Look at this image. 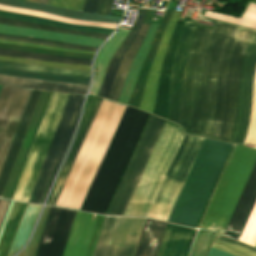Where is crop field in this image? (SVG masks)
I'll use <instances>...</instances> for the list:
<instances>
[{"label": "crop field", "instance_id": "obj_18", "mask_svg": "<svg viewBox=\"0 0 256 256\" xmlns=\"http://www.w3.org/2000/svg\"><path fill=\"white\" fill-rule=\"evenodd\" d=\"M40 92L41 91L32 90L29 96L28 102L26 104L25 110L23 112L22 118L20 120L19 126L17 128L16 134L14 136L13 142L11 144L10 150L8 152L7 158L0 174V197L2 196V193L4 191L5 185L7 183L8 177L10 175L11 169L13 167L14 161L16 159L17 153L19 151L20 145L22 143Z\"/></svg>", "mask_w": 256, "mask_h": 256}, {"label": "crop field", "instance_id": "obj_12", "mask_svg": "<svg viewBox=\"0 0 256 256\" xmlns=\"http://www.w3.org/2000/svg\"><path fill=\"white\" fill-rule=\"evenodd\" d=\"M119 218L114 216L105 217L93 256H133L139 235L128 234V232L140 234L145 218L121 217L120 221ZM112 240L126 241V243L112 242Z\"/></svg>", "mask_w": 256, "mask_h": 256}, {"label": "crop field", "instance_id": "obj_20", "mask_svg": "<svg viewBox=\"0 0 256 256\" xmlns=\"http://www.w3.org/2000/svg\"><path fill=\"white\" fill-rule=\"evenodd\" d=\"M172 12H173L172 10H166V12L160 22V26L157 30L154 40L150 46V49L146 55V58L142 64V66H141L135 87L133 89L130 101L128 103L129 105H132L137 108L139 107L143 89H144V85H145V81L148 77L149 70H150L152 61L154 59L155 53L157 51L158 45L160 43L163 31L165 29V26L171 16Z\"/></svg>", "mask_w": 256, "mask_h": 256}, {"label": "crop field", "instance_id": "obj_7", "mask_svg": "<svg viewBox=\"0 0 256 256\" xmlns=\"http://www.w3.org/2000/svg\"><path fill=\"white\" fill-rule=\"evenodd\" d=\"M184 133L166 121L130 201L152 202ZM130 202L124 215L146 216L152 203Z\"/></svg>", "mask_w": 256, "mask_h": 256}, {"label": "crop field", "instance_id": "obj_45", "mask_svg": "<svg viewBox=\"0 0 256 256\" xmlns=\"http://www.w3.org/2000/svg\"><path fill=\"white\" fill-rule=\"evenodd\" d=\"M2 86H0V89H1Z\"/></svg>", "mask_w": 256, "mask_h": 256}, {"label": "crop field", "instance_id": "obj_44", "mask_svg": "<svg viewBox=\"0 0 256 256\" xmlns=\"http://www.w3.org/2000/svg\"><path fill=\"white\" fill-rule=\"evenodd\" d=\"M39 3L47 5L48 0H40Z\"/></svg>", "mask_w": 256, "mask_h": 256}, {"label": "crop field", "instance_id": "obj_27", "mask_svg": "<svg viewBox=\"0 0 256 256\" xmlns=\"http://www.w3.org/2000/svg\"><path fill=\"white\" fill-rule=\"evenodd\" d=\"M0 84L41 89V90H49V91L80 93V94H85L88 87L83 85L52 83V82L29 80V79H22V78L7 77V76H0Z\"/></svg>", "mask_w": 256, "mask_h": 256}, {"label": "crop field", "instance_id": "obj_36", "mask_svg": "<svg viewBox=\"0 0 256 256\" xmlns=\"http://www.w3.org/2000/svg\"><path fill=\"white\" fill-rule=\"evenodd\" d=\"M0 60L18 62V63H26V64H34V65H41V66H48V67H55V68L90 71V66H85V65L56 63V62H48V61L8 57V56H0Z\"/></svg>", "mask_w": 256, "mask_h": 256}, {"label": "crop field", "instance_id": "obj_3", "mask_svg": "<svg viewBox=\"0 0 256 256\" xmlns=\"http://www.w3.org/2000/svg\"><path fill=\"white\" fill-rule=\"evenodd\" d=\"M232 146L204 140L167 221L196 227Z\"/></svg>", "mask_w": 256, "mask_h": 256}, {"label": "crop field", "instance_id": "obj_8", "mask_svg": "<svg viewBox=\"0 0 256 256\" xmlns=\"http://www.w3.org/2000/svg\"><path fill=\"white\" fill-rule=\"evenodd\" d=\"M81 95L70 94L28 202L42 204L67 150L80 113Z\"/></svg>", "mask_w": 256, "mask_h": 256}, {"label": "crop field", "instance_id": "obj_24", "mask_svg": "<svg viewBox=\"0 0 256 256\" xmlns=\"http://www.w3.org/2000/svg\"><path fill=\"white\" fill-rule=\"evenodd\" d=\"M0 32L21 35V36H28V37L53 39V40H59V41L68 42V43H75V44L95 46V47H99L103 42L102 40H97V39H92L87 37H80V36L41 31V30L16 28V27L4 26V25H0Z\"/></svg>", "mask_w": 256, "mask_h": 256}, {"label": "crop field", "instance_id": "obj_35", "mask_svg": "<svg viewBox=\"0 0 256 256\" xmlns=\"http://www.w3.org/2000/svg\"><path fill=\"white\" fill-rule=\"evenodd\" d=\"M0 39L43 44V45H48V46H53V47H58V48L74 49V50H82V51L96 52V50H97V48H95V47L73 45V44H66V43H59V42H53V41L31 39V38H23V37L9 36V35H1V34H0ZM94 48H95V50H94Z\"/></svg>", "mask_w": 256, "mask_h": 256}, {"label": "crop field", "instance_id": "obj_13", "mask_svg": "<svg viewBox=\"0 0 256 256\" xmlns=\"http://www.w3.org/2000/svg\"><path fill=\"white\" fill-rule=\"evenodd\" d=\"M31 90L3 86L0 92V171Z\"/></svg>", "mask_w": 256, "mask_h": 256}, {"label": "crop field", "instance_id": "obj_33", "mask_svg": "<svg viewBox=\"0 0 256 256\" xmlns=\"http://www.w3.org/2000/svg\"><path fill=\"white\" fill-rule=\"evenodd\" d=\"M0 23L19 26V27L36 28V29L63 32V33L81 35V36H88V37H94V38H99V39H103V40H106V38L108 37V35H105V34L72 31V30H66V29H61V28H57V27H51V26H45V25H39V24H32V23L8 20V19H3V18H0Z\"/></svg>", "mask_w": 256, "mask_h": 256}, {"label": "crop field", "instance_id": "obj_11", "mask_svg": "<svg viewBox=\"0 0 256 256\" xmlns=\"http://www.w3.org/2000/svg\"><path fill=\"white\" fill-rule=\"evenodd\" d=\"M165 121L150 115L106 214H123Z\"/></svg>", "mask_w": 256, "mask_h": 256}, {"label": "crop field", "instance_id": "obj_23", "mask_svg": "<svg viewBox=\"0 0 256 256\" xmlns=\"http://www.w3.org/2000/svg\"><path fill=\"white\" fill-rule=\"evenodd\" d=\"M27 204L10 202L0 229V256H7Z\"/></svg>", "mask_w": 256, "mask_h": 256}, {"label": "crop field", "instance_id": "obj_28", "mask_svg": "<svg viewBox=\"0 0 256 256\" xmlns=\"http://www.w3.org/2000/svg\"><path fill=\"white\" fill-rule=\"evenodd\" d=\"M150 25H146L143 24L141 27V30L138 34V36L136 37V39L134 40V42L132 43L131 47L129 48L127 54L125 55L124 59L122 60L119 69L117 71L115 80L113 82L110 94H109V99H113V100H118L127 70L137 52V50L139 49L145 34L148 30Z\"/></svg>", "mask_w": 256, "mask_h": 256}, {"label": "crop field", "instance_id": "obj_34", "mask_svg": "<svg viewBox=\"0 0 256 256\" xmlns=\"http://www.w3.org/2000/svg\"><path fill=\"white\" fill-rule=\"evenodd\" d=\"M0 66L9 67V68L24 69V70L39 71V72H46V73H54V74L90 77V72H85V71L55 69V68H47V67H40V66H33V65L8 63V62H2V61H0Z\"/></svg>", "mask_w": 256, "mask_h": 256}, {"label": "crop field", "instance_id": "obj_15", "mask_svg": "<svg viewBox=\"0 0 256 256\" xmlns=\"http://www.w3.org/2000/svg\"><path fill=\"white\" fill-rule=\"evenodd\" d=\"M101 100L102 99L99 97H94V96L91 97L89 104L86 108V111L83 115L82 121L80 123L79 129L74 139L73 145L71 147L69 156L58 176V179L54 185V188L51 192V195L46 205H50V206L54 205Z\"/></svg>", "mask_w": 256, "mask_h": 256}, {"label": "crop field", "instance_id": "obj_21", "mask_svg": "<svg viewBox=\"0 0 256 256\" xmlns=\"http://www.w3.org/2000/svg\"><path fill=\"white\" fill-rule=\"evenodd\" d=\"M166 224L146 218L134 256H156Z\"/></svg>", "mask_w": 256, "mask_h": 256}, {"label": "crop field", "instance_id": "obj_32", "mask_svg": "<svg viewBox=\"0 0 256 256\" xmlns=\"http://www.w3.org/2000/svg\"><path fill=\"white\" fill-rule=\"evenodd\" d=\"M0 55H8V56L56 61V62L86 64V65H90L91 61H92V60H87V59L58 57V56L43 55V54H36V53H29V52L15 51V50H7V49H0Z\"/></svg>", "mask_w": 256, "mask_h": 256}, {"label": "crop field", "instance_id": "obj_22", "mask_svg": "<svg viewBox=\"0 0 256 256\" xmlns=\"http://www.w3.org/2000/svg\"><path fill=\"white\" fill-rule=\"evenodd\" d=\"M146 12H147V10H144V9L139 10L137 19L133 25V28H132L130 34L121 43V45L119 46V48L113 55L109 65H108L99 96H103L106 98L108 97V94H109L113 79L115 77L117 68H118L121 60L123 59L125 53L127 52L128 48L130 47L131 43L135 39Z\"/></svg>", "mask_w": 256, "mask_h": 256}, {"label": "crop field", "instance_id": "obj_6", "mask_svg": "<svg viewBox=\"0 0 256 256\" xmlns=\"http://www.w3.org/2000/svg\"><path fill=\"white\" fill-rule=\"evenodd\" d=\"M255 161V150L235 147L199 228L223 233Z\"/></svg>", "mask_w": 256, "mask_h": 256}, {"label": "crop field", "instance_id": "obj_29", "mask_svg": "<svg viewBox=\"0 0 256 256\" xmlns=\"http://www.w3.org/2000/svg\"><path fill=\"white\" fill-rule=\"evenodd\" d=\"M0 75L52 81V82H61V83L83 84V85H88L90 81V78H85V77L54 75V74H46V73H39V72H32V71L2 68V67H0Z\"/></svg>", "mask_w": 256, "mask_h": 256}, {"label": "crop field", "instance_id": "obj_19", "mask_svg": "<svg viewBox=\"0 0 256 256\" xmlns=\"http://www.w3.org/2000/svg\"><path fill=\"white\" fill-rule=\"evenodd\" d=\"M194 231L168 223L158 256H186Z\"/></svg>", "mask_w": 256, "mask_h": 256}, {"label": "crop field", "instance_id": "obj_4", "mask_svg": "<svg viewBox=\"0 0 256 256\" xmlns=\"http://www.w3.org/2000/svg\"><path fill=\"white\" fill-rule=\"evenodd\" d=\"M148 115L126 107L98 169L99 172L121 176ZM99 172L80 210L104 213L119 177Z\"/></svg>", "mask_w": 256, "mask_h": 256}, {"label": "crop field", "instance_id": "obj_37", "mask_svg": "<svg viewBox=\"0 0 256 256\" xmlns=\"http://www.w3.org/2000/svg\"><path fill=\"white\" fill-rule=\"evenodd\" d=\"M213 232L198 230L190 256H206Z\"/></svg>", "mask_w": 256, "mask_h": 256}, {"label": "crop field", "instance_id": "obj_38", "mask_svg": "<svg viewBox=\"0 0 256 256\" xmlns=\"http://www.w3.org/2000/svg\"><path fill=\"white\" fill-rule=\"evenodd\" d=\"M83 1L84 0H49L48 5L80 11Z\"/></svg>", "mask_w": 256, "mask_h": 256}, {"label": "crop field", "instance_id": "obj_43", "mask_svg": "<svg viewBox=\"0 0 256 256\" xmlns=\"http://www.w3.org/2000/svg\"><path fill=\"white\" fill-rule=\"evenodd\" d=\"M8 202L9 201H7V200H3V199L0 200V223H1V220L3 218V215H4V212L6 210Z\"/></svg>", "mask_w": 256, "mask_h": 256}, {"label": "crop field", "instance_id": "obj_30", "mask_svg": "<svg viewBox=\"0 0 256 256\" xmlns=\"http://www.w3.org/2000/svg\"><path fill=\"white\" fill-rule=\"evenodd\" d=\"M0 16L1 17H6V18L17 19V20H23V21L53 25V26L71 28V29L85 30V31H91V32L106 33V34H111L112 31H113L111 29L98 28V27L70 25V24H65V23L45 19V18L27 16V15L15 14V13H9V12H4V11H0Z\"/></svg>", "mask_w": 256, "mask_h": 256}, {"label": "crop field", "instance_id": "obj_40", "mask_svg": "<svg viewBox=\"0 0 256 256\" xmlns=\"http://www.w3.org/2000/svg\"><path fill=\"white\" fill-rule=\"evenodd\" d=\"M98 1L99 0H85L81 11L94 13Z\"/></svg>", "mask_w": 256, "mask_h": 256}, {"label": "crop field", "instance_id": "obj_41", "mask_svg": "<svg viewBox=\"0 0 256 256\" xmlns=\"http://www.w3.org/2000/svg\"><path fill=\"white\" fill-rule=\"evenodd\" d=\"M0 42L15 43V44H22V45H28V46H34V47H41V48H49V49H57V50H65V49H58V48H53V47L41 46V45L26 44V43H18V42H10V41H2V40H0ZM65 51H72V52H80V53H90V54H94V53H91V52H82V51H74V50H65Z\"/></svg>", "mask_w": 256, "mask_h": 256}, {"label": "crop field", "instance_id": "obj_26", "mask_svg": "<svg viewBox=\"0 0 256 256\" xmlns=\"http://www.w3.org/2000/svg\"><path fill=\"white\" fill-rule=\"evenodd\" d=\"M157 24H151L146 37L139 49V51L137 52L131 67H130V71L126 77V81L124 83L123 89L121 91L120 97H119V102H123V103H128V100L130 98L132 89L134 87L140 66L144 60V57L149 49V46L153 40L154 34L156 32L157 29Z\"/></svg>", "mask_w": 256, "mask_h": 256}, {"label": "crop field", "instance_id": "obj_39", "mask_svg": "<svg viewBox=\"0 0 256 256\" xmlns=\"http://www.w3.org/2000/svg\"><path fill=\"white\" fill-rule=\"evenodd\" d=\"M112 5L113 0H100L95 13L109 15Z\"/></svg>", "mask_w": 256, "mask_h": 256}, {"label": "crop field", "instance_id": "obj_10", "mask_svg": "<svg viewBox=\"0 0 256 256\" xmlns=\"http://www.w3.org/2000/svg\"><path fill=\"white\" fill-rule=\"evenodd\" d=\"M202 141L184 135L147 216L167 220Z\"/></svg>", "mask_w": 256, "mask_h": 256}, {"label": "crop field", "instance_id": "obj_2", "mask_svg": "<svg viewBox=\"0 0 256 256\" xmlns=\"http://www.w3.org/2000/svg\"><path fill=\"white\" fill-rule=\"evenodd\" d=\"M125 107L102 100L54 206L80 209Z\"/></svg>", "mask_w": 256, "mask_h": 256}, {"label": "crop field", "instance_id": "obj_16", "mask_svg": "<svg viewBox=\"0 0 256 256\" xmlns=\"http://www.w3.org/2000/svg\"><path fill=\"white\" fill-rule=\"evenodd\" d=\"M182 26L176 25L171 41L161 65L160 75L157 84L156 97L153 114L166 119L168 111L169 80L175 47L179 38Z\"/></svg>", "mask_w": 256, "mask_h": 256}, {"label": "crop field", "instance_id": "obj_14", "mask_svg": "<svg viewBox=\"0 0 256 256\" xmlns=\"http://www.w3.org/2000/svg\"><path fill=\"white\" fill-rule=\"evenodd\" d=\"M256 201V164L239 198L224 235L239 239Z\"/></svg>", "mask_w": 256, "mask_h": 256}, {"label": "crop field", "instance_id": "obj_5", "mask_svg": "<svg viewBox=\"0 0 256 256\" xmlns=\"http://www.w3.org/2000/svg\"><path fill=\"white\" fill-rule=\"evenodd\" d=\"M75 212L50 208L36 256H62ZM103 217L77 211L63 256H91Z\"/></svg>", "mask_w": 256, "mask_h": 256}, {"label": "crop field", "instance_id": "obj_25", "mask_svg": "<svg viewBox=\"0 0 256 256\" xmlns=\"http://www.w3.org/2000/svg\"><path fill=\"white\" fill-rule=\"evenodd\" d=\"M0 4L12 5L20 8H28V9H35L40 10L68 18L73 19H81V20H89V21H107V22H115L118 23L120 18L106 16V15H98V14H91V13H84L72 10H66L61 8L49 7L35 3L17 1V0H0Z\"/></svg>", "mask_w": 256, "mask_h": 256}, {"label": "crop field", "instance_id": "obj_9", "mask_svg": "<svg viewBox=\"0 0 256 256\" xmlns=\"http://www.w3.org/2000/svg\"><path fill=\"white\" fill-rule=\"evenodd\" d=\"M68 95L52 94L12 199L28 201Z\"/></svg>", "mask_w": 256, "mask_h": 256}, {"label": "crop field", "instance_id": "obj_31", "mask_svg": "<svg viewBox=\"0 0 256 256\" xmlns=\"http://www.w3.org/2000/svg\"><path fill=\"white\" fill-rule=\"evenodd\" d=\"M212 247L235 256H256V249L215 233Z\"/></svg>", "mask_w": 256, "mask_h": 256}, {"label": "crop field", "instance_id": "obj_1", "mask_svg": "<svg viewBox=\"0 0 256 256\" xmlns=\"http://www.w3.org/2000/svg\"><path fill=\"white\" fill-rule=\"evenodd\" d=\"M256 65V30L185 22L170 81L167 119L185 132L242 144ZM256 148V72L244 145Z\"/></svg>", "mask_w": 256, "mask_h": 256}, {"label": "crop field", "instance_id": "obj_42", "mask_svg": "<svg viewBox=\"0 0 256 256\" xmlns=\"http://www.w3.org/2000/svg\"><path fill=\"white\" fill-rule=\"evenodd\" d=\"M208 256H232V255L224 253L222 251H219L211 247Z\"/></svg>", "mask_w": 256, "mask_h": 256}, {"label": "crop field", "instance_id": "obj_17", "mask_svg": "<svg viewBox=\"0 0 256 256\" xmlns=\"http://www.w3.org/2000/svg\"><path fill=\"white\" fill-rule=\"evenodd\" d=\"M180 14H181V12H178V11L173 12L172 17L169 21V24L166 28V31L162 37V40L159 45L158 51L156 53L155 59L153 61L149 77L146 81L143 97H142L141 104H140L139 108L142 110L148 111L150 113L152 112V108H153L156 84H157L161 61L164 57L171 34L173 32V29L175 27V24L180 16Z\"/></svg>", "mask_w": 256, "mask_h": 256}]
</instances>
